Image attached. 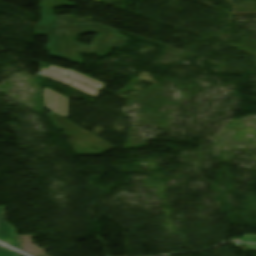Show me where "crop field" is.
<instances>
[{
    "mask_svg": "<svg viewBox=\"0 0 256 256\" xmlns=\"http://www.w3.org/2000/svg\"><path fill=\"white\" fill-rule=\"evenodd\" d=\"M0 250H11V249H9V248H7V247H5V246L0 244Z\"/></svg>",
    "mask_w": 256,
    "mask_h": 256,
    "instance_id": "obj_9",
    "label": "crop field"
},
{
    "mask_svg": "<svg viewBox=\"0 0 256 256\" xmlns=\"http://www.w3.org/2000/svg\"><path fill=\"white\" fill-rule=\"evenodd\" d=\"M44 107L67 118L69 109V100L44 88L43 91ZM51 111V112H52Z\"/></svg>",
    "mask_w": 256,
    "mask_h": 256,
    "instance_id": "obj_2",
    "label": "crop field"
},
{
    "mask_svg": "<svg viewBox=\"0 0 256 256\" xmlns=\"http://www.w3.org/2000/svg\"><path fill=\"white\" fill-rule=\"evenodd\" d=\"M41 73H42V76L44 77H47V78H51V79H54L58 82H61L63 84H66V85H69V86H72V87H75L83 92H86L94 97H96V95L99 93L98 90L86 85V84H82V83H79V82H76L68 77H65L63 75H60V74H57L55 72H52L48 69H43L41 70Z\"/></svg>",
    "mask_w": 256,
    "mask_h": 256,
    "instance_id": "obj_4",
    "label": "crop field"
},
{
    "mask_svg": "<svg viewBox=\"0 0 256 256\" xmlns=\"http://www.w3.org/2000/svg\"><path fill=\"white\" fill-rule=\"evenodd\" d=\"M4 207H0V241L15 248L20 249V241L15 239V229L5 222Z\"/></svg>",
    "mask_w": 256,
    "mask_h": 256,
    "instance_id": "obj_3",
    "label": "crop field"
},
{
    "mask_svg": "<svg viewBox=\"0 0 256 256\" xmlns=\"http://www.w3.org/2000/svg\"><path fill=\"white\" fill-rule=\"evenodd\" d=\"M39 5L46 7V8H60V7L76 6L75 3H68V0H41Z\"/></svg>",
    "mask_w": 256,
    "mask_h": 256,
    "instance_id": "obj_6",
    "label": "crop field"
},
{
    "mask_svg": "<svg viewBox=\"0 0 256 256\" xmlns=\"http://www.w3.org/2000/svg\"><path fill=\"white\" fill-rule=\"evenodd\" d=\"M0 256H20V254L15 251H0Z\"/></svg>",
    "mask_w": 256,
    "mask_h": 256,
    "instance_id": "obj_7",
    "label": "crop field"
},
{
    "mask_svg": "<svg viewBox=\"0 0 256 256\" xmlns=\"http://www.w3.org/2000/svg\"><path fill=\"white\" fill-rule=\"evenodd\" d=\"M39 8L42 20L36 26L35 35L48 37L49 43L46 44V49L51 57L82 65L81 53L104 57L109 55L114 47L119 49L125 46L129 40L112 28L86 19H77L73 15L54 16L53 9L40 6ZM56 23L59 25H55ZM91 32L97 35L90 47L76 42L78 35Z\"/></svg>",
    "mask_w": 256,
    "mask_h": 256,
    "instance_id": "obj_1",
    "label": "crop field"
},
{
    "mask_svg": "<svg viewBox=\"0 0 256 256\" xmlns=\"http://www.w3.org/2000/svg\"><path fill=\"white\" fill-rule=\"evenodd\" d=\"M246 237H249L247 242L256 243V235H245Z\"/></svg>",
    "mask_w": 256,
    "mask_h": 256,
    "instance_id": "obj_8",
    "label": "crop field"
},
{
    "mask_svg": "<svg viewBox=\"0 0 256 256\" xmlns=\"http://www.w3.org/2000/svg\"><path fill=\"white\" fill-rule=\"evenodd\" d=\"M40 64H44V63H41L39 62ZM44 65H47V64H44ZM50 66V65H48ZM50 70L52 71H55L57 73H60V74H63L65 76H68V77H71L79 82H83V83H86V84H89L97 89H102L103 88V84L99 81H95L89 77H86L78 72H75V71H71V70H65V69H61V68H57V67H53V66H50L49 68Z\"/></svg>",
    "mask_w": 256,
    "mask_h": 256,
    "instance_id": "obj_5",
    "label": "crop field"
}]
</instances>
